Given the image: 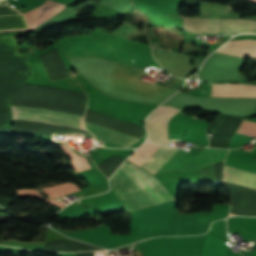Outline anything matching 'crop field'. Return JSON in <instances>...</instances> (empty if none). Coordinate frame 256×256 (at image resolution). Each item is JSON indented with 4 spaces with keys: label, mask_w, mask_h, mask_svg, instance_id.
I'll return each instance as SVG.
<instances>
[{
    "label": "crop field",
    "mask_w": 256,
    "mask_h": 256,
    "mask_svg": "<svg viewBox=\"0 0 256 256\" xmlns=\"http://www.w3.org/2000/svg\"><path fill=\"white\" fill-rule=\"evenodd\" d=\"M126 163H124L112 176L114 193L126 210L133 211L151 205H157L158 202L160 204L167 202V199L164 197L146 171L131 163H127L151 188L158 202L150 188Z\"/></svg>",
    "instance_id": "crop-field-3"
},
{
    "label": "crop field",
    "mask_w": 256,
    "mask_h": 256,
    "mask_svg": "<svg viewBox=\"0 0 256 256\" xmlns=\"http://www.w3.org/2000/svg\"><path fill=\"white\" fill-rule=\"evenodd\" d=\"M216 52L240 57L244 55L256 57V41L241 40L228 42Z\"/></svg>",
    "instance_id": "crop-field-10"
},
{
    "label": "crop field",
    "mask_w": 256,
    "mask_h": 256,
    "mask_svg": "<svg viewBox=\"0 0 256 256\" xmlns=\"http://www.w3.org/2000/svg\"><path fill=\"white\" fill-rule=\"evenodd\" d=\"M12 203L9 198L6 199H0V205L4 206L5 208H7V205Z\"/></svg>",
    "instance_id": "crop-field-13"
},
{
    "label": "crop field",
    "mask_w": 256,
    "mask_h": 256,
    "mask_svg": "<svg viewBox=\"0 0 256 256\" xmlns=\"http://www.w3.org/2000/svg\"><path fill=\"white\" fill-rule=\"evenodd\" d=\"M237 132L256 137V123L244 120Z\"/></svg>",
    "instance_id": "crop-field-12"
},
{
    "label": "crop field",
    "mask_w": 256,
    "mask_h": 256,
    "mask_svg": "<svg viewBox=\"0 0 256 256\" xmlns=\"http://www.w3.org/2000/svg\"><path fill=\"white\" fill-rule=\"evenodd\" d=\"M13 111V119H28L40 122L54 123L60 125L71 126L75 128L85 129L83 127V121L55 116L50 114H44L39 112H31V111H21V110H12Z\"/></svg>",
    "instance_id": "crop-field-8"
},
{
    "label": "crop field",
    "mask_w": 256,
    "mask_h": 256,
    "mask_svg": "<svg viewBox=\"0 0 256 256\" xmlns=\"http://www.w3.org/2000/svg\"><path fill=\"white\" fill-rule=\"evenodd\" d=\"M178 111L173 107L160 106L151 113L146 119L148 139L167 145V124Z\"/></svg>",
    "instance_id": "crop-field-5"
},
{
    "label": "crop field",
    "mask_w": 256,
    "mask_h": 256,
    "mask_svg": "<svg viewBox=\"0 0 256 256\" xmlns=\"http://www.w3.org/2000/svg\"><path fill=\"white\" fill-rule=\"evenodd\" d=\"M5 6V5H2ZM10 7V6H8ZM65 5L58 4L55 1L46 0L39 4L38 6L32 8L31 10L27 11L24 15V20L27 29L35 28L39 26L40 24L46 22L56 14H58L60 11L64 9ZM11 8V7H10ZM18 12V11H17ZM20 13V12H18ZM21 14V13H20ZM22 16V14H21ZM20 18V17H16ZM6 19H12V18H6ZM26 28L21 29H10V30H1L0 32L4 31H17V30H23Z\"/></svg>",
    "instance_id": "crop-field-6"
},
{
    "label": "crop field",
    "mask_w": 256,
    "mask_h": 256,
    "mask_svg": "<svg viewBox=\"0 0 256 256\" xmlns=\"http://www.w3.org/2000/svg\"><path fill=\"white\" fill-rule=\"evenodd\" d=\"M253 1H256V0H253Z\"/></svg>",
    "instance_id": "crop-field-15"
},
{
    "label": "crop field",
    "mask_w": 256,
    "mask_h": 256,
    "mask_svg": "<svg viewBox=\"0 0 256 256\" xmlns=\"http://www.w3.org/2000/svg\"><path fill=\"white\" fill-rule=\"evenodd\" d=\"M85 128L91 131L97 139L117 144L123 147H128L140 140V138L124 134L106 127H102L93 123H89L86 121Z\"/></svg>",
    "instance_id": "crop-field-7"
},
{
    "label": "crop field",
    "mask_w": 256,
    "mask_h": 256,
    "mask_svg": "<svg viewBox=\"0 0 256 256\" xmlns=\"http://www.w3.org/2000/svg\"><path fill=\"white\" fill-rule=\"evenodd\" d=\"M0 211H4L2 208H0Z\"/></svg>",
    "instance_id": "crop-field-14"
},
{
    "label": "crop field",
    "mask_w": 256,
    "mask_h": 256,
    "mask_svg": "<svg viewBox=\"0 0 256 256\" xmlns=\"http://www.w3.org/2000/svg\"><path fill=\"white\" fill-rule=\"evenodd\" d=\"M210 96L216 97H256L254 85H212Z\"/></svg>",
    "instance_id": "crop-field-9"
},
{
    "label": "crop field",
    "mask_w": 256,
    "mask_h": 256,
    "mask_svg": "<svg viewBox=\"0 0 256 256\" xmlns=\"http://www.w3.org/2000/svg\"><path fill=\"white\" fill-rule=\"evenodd\" d=\"M183 28L199 33H256V22L184 18Z\"/></svg>",
    "instance_id": "crop-field-4"
},
{
    "label": "crop field",
    "mask_w": 256,
    "mask_h": 256,
    "mask_svg": "<svg viewBox=\"0 0 256 256\" xmlns=\"http://www.w3.org/2000/svg\"><path fill=\"white\" fill-rule=\"evenodd\" d=\"M32 75L28 56L18 54L15 39H0V133H13L8 97Z\"/></svg>",
    "instance_id": "crop-field-2"
},
{
    "label": "crop field",
    "mask_w": 256,
    "mask_h": 256,
    "mask_svg": "<svg viewBox=\"0 0 256 256\" xmlns=\"http://www.w3.org/2000/svg\"><path fill=\"white\" fill-rule=\"evenodd\" d=\"M178 149L145 142L129 159L151 173L161 168ZM228 150L203 148L200 153L193 155L179 149L171 159L155 174L169 170L191 171L212 162L224 161Z\"/></svg>",
    "instance_id": "crop-field-1"
},
{
    "label": "crop field",
    "mask_w": 256,
    "mask_h": 256,
    "mask_svg": "<svg viewBox=\"0 0 256 256\" xmlns=\"http://www.w3.org/2000/svg\"><path fill=\"white\" fill-rule=\"evenodd\" d=\"M224 182L252 188L256 190V174L225 166ZM233 216V214H229Z\"/></svg>",
    "instance_id": "crop-field-11"
}]
</instances>
